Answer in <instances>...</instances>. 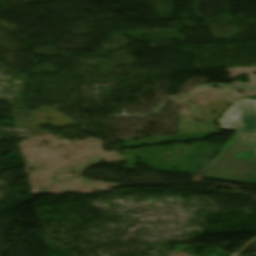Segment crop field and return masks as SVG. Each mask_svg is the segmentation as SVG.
Instances as JSON below:
<instances>
[{"mask_svg": "<svg viewBox=\"0 0 256 256\" xmlns=\"http://www.w3.org/2000/svg\"><path fill=\"white\" fill-rule=\"evenodd\" d=\"M203 177L256 184V135L235 132Z\"/></svg>", "mask_w": 256, "mask_h": 256, "instance_id": "obj_1", "label": "crop field"}, {"mask_svg": "<svg viewBox=\"0 0 256 256\" xmlns=\"http://www.w3.org/2000/svg\"><path fill=\"white\" fill-rule=\"evenodd\" d=\"M219 122V129L256 134V102L235 100Z\"/></svg>", "mask_w": 256, "mask_h": 256, "instance_id": "obj_2", "label": "crop field"}]
</instances>
